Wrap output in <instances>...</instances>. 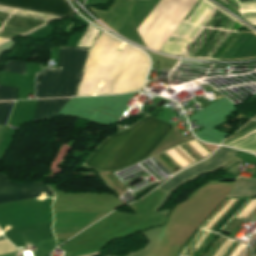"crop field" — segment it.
Here are the masks:
<instances>
[{"label": "crop field", "mask_w": 256, "mask_h": 256, "mask_svg": "<svg viewBox=\"0 0 256 256\" xmlns=\"http://www.w3.org/2000/svg\"><path fill=\"white\" fill-rule=\"evenodd\" d=\"M5 71L25 74V63L16 60L10 61L7 63Z\"/></svg>", "instance_id": "11"}, {"label": "crop field", "mask_w": 256, "mask_h": 256, "mask_svg": "<svg viewBox=\"0 0 256 256\" xmlns=\"http://www.w3.org/2000/svg\"><path fill=\"white\" fill-rule=\"evenodd\" d=\"M41 191L47 192L46 196L53 194L48 187L42 184H16L0 175V203L39 197Z\"/></svg>", "instance_id": "6"}, {"label": "crop field", "mask_w": 256, "mask_h": 256, "mask_svg": "<svg viewBox=\"0 0 256 256\" xmlns=\"http://www.w3.org/2000/svg\"><path fill=\"white\" fill-rule=\"evenodd\" d=\"M245 196H256V180L238 178L227 198Z\"/></svg>", "instance_id": "9"}, {"label": "crop field", "mask_w": 256, "mask_h": 256, "mask_svg": "<svg viewBox=\"0 0 256 256\" xmlns=\"http://www.w3.org/2000/svg\"><path fill=\"white\" fill-rule=\"evenodd\" d=\"M197 0H160L137 29L143 43L158 51Z\"/></svg>", "instance_id": "3"}, {"label": "crop field", "mask_w": 256, "mask_h": 256, "mask_svg": "<svg viewBox=\"0 0 256 256\" xmlns=\"http://www.w3.org/2000/svg\"><path fill=\"white\" fill-rule=\"evenodd\" d=\"M171 128L147 116L131 128L106 138L84 165L100 171L116 170L142 160Z\"/></svg>", "instance_id": "1"}, {"label": "crop field", "mask_w": 256, "mask_h": 256, "mask_svg": "<svg viewBox=\"0 0 256 256\" xmlns=\"http://www.w3.org/2000/svg\"><path fill=\"white\" fill-rule=\"evenodd\" d=\"M6 40H8V39L0 38V43L4 42V41H6Z\"/></svg>", "instance_id": "14"}, {"label": "crop field", "mask_w": 256, "mask_h": 256, "mask_svg": "<svg viewBox=\"0 0 256 256\" xmlns=\"http://www.w3.org/2000/svg\"><path fill=\"white\" fill-rule=\"evenodd\" d=\"M68 100L69 99L38 101L32 122L48 120L56 116L60 108L66 104Z\"/></svg>", "instance_id": "7"}, {"label": "crop field", "mask_w": 256, "mask_h": 256, "mask_svg": "<svg viewBox=\"0 0 256 256\" xmlns=\"http://www.w3.org/2000/svg\"><path fill=\"white\" fill-rule=\"evenodd\" d=\"M16 89L17 88L0 86V100L15 99Z\"/></svg>", "instance_id": "13"}, {"label": "crop field", "mask_w": 256, "mask_h": 256, "mask_svg": "<svg viewBox=\"0 0 256 256\" xmlns=\"http://www.w3.org/2000/svg\"><path fill=\"white\" fill-rule=\"evenodd\" d=\"M13 102H0V125H5Z\"/></svg>", "instance_id": "12"}, {"label": "crop field", "mask_w": 256, "mask_h": 256, "mask_svg": "<svg viewBox=\"0 0 256 256\" xmlns=\"http://www.w3.org/2000/svg\"><path fill=\"white\" fill-rule=\"evenodd\" d=\"M0 4L42 12V13H47V14H52V15H57V16H62V17L70 16L73 14L72 12H67V11H62V10H57V9H52V8H47V7H42V6L12 1V0H0Z\"/></svg>", "instance_id": "8"}, {"label": "crop field", "mask_w": 256, "mask_h": 256, "mask_svg": "<svg viewBox=\"0 0 256 256\" xmlns=\"http://www.w3.org/2000/svg\"><path fill=\"white\" fill-rule=\"evenodd\" d=\"M236 153L238 151L220 147L210 158L177 174L158 188L164 192H170L182 182L220 167Z\"/></svg>", "instance_id": "4"}, {"label": "crop field", "mask_w": 256, "mask_h": 256, "mask_svg": "<svg viewBox=\"0 0 256 256\" xmlns=\"http://www.w3.org/2000/svg\"><path fill=\"white\" fill-rule=\"evenodd\" d=\"M74 12L66 0H17Z\"/></svg>", "instance_id": "10"}, {"label": "crop field", "mask_w": 256, "mask_h": 256, "mask_svg": "<svg viewBox=\"0 0 256 256\" xmlns=\"http://www.w3.org/2000/svg\"><path fill=\"white\" fill-rule=\"evenodd\" d=\"M214 10L215 8L203 2L198 12L194 16V18L188 24L181 22L180 25L176 28V30L172 33V35L169 38L177 37V38L193 39L194 36L199 32V30L205 24V22L212 15ZM184 44L185 43H181V42L166 41L160 50L180 55L182 52V50L180 49L183 47Z\"/></svg>", "instance_id": "5"}, {"label": "crop field", "mask_w": 256, "mask_h": 256, "mask_svg": "<svg viewBox=\"0 0 256 256\" xmlns=\"http://www.w3.org/2000/svg\"><path fill=\"white\" fill-rule=\"evenodd\" d=\"M89 50L60 47L58 68L36 75V98L76 96Z\"/></svg>", "instance_id": "2"}]
</instances>
